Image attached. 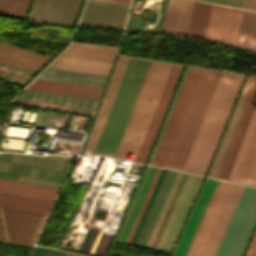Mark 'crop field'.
<instances>
[{"instance_id":"38","label":"crop field","mask_w":256,"mask_h":256,"mask_svg":"<svg viewBox=\"0 0 256 256\" xmlns=\"http://www.w3.org/2000/svg\"><path fill=\"white\" fill-rule=\"evenodd\" d=\"M103 1H109V2L127 4V5H129V3H130V0H103Z\"/></svg>"},{"instance_id":"7","label":"crop field","mask_w":256,"mask_h":256,"mask_svg":"<svg viewBox=\"0 0 256 256\" xmlns=\"http://www.w3.org/2000/svg\"><path fill=\"white\" fill-rule=\"evenodd\" d=\"M243 12L214 4L205 40L235 46Z\"/></svg>"},{"instance_id":"32","label":"crop field","mask_w":256,"mask_h":256,"mask_svg":"<svg viewBox=\"0 0 256 256\" xmlns=\"http://www.w3.org/2000/svg\"><path fill=\"white\" fill-rule=\"evenodd\" d=\"M167 170L163 169L130 244L134 245Z\"/></svg>"},{"instance_id":"23","label":"crop field","mask_w":256,"mask_h":256,"mask_svg":"<svg viewBox=\"0 0 256 256\" xmlns=\"http://www.w3.org/2000/svg\"><path fill=\"white\" fill-rule=\"evenodd\" d=\"M117 49L115 47L72 42L61 55L112 62Z\"/></svg>"},{"instance_id":"13","label":"crop field","mask_w":256,"mask_h":256,"mask_svg":"<svg viewBox=\"0 0 256 256\" xmlns=\"http://www.w3.org/2000/svg\"><path fill=\"white\" fill-rule=\"evenodd\" d=\"M244 185L233 183L200 256H213L231 218Z\"/></svg>"},{"instance_id":"29","label":"crop field","mask_w":256,"mask_h":256,"mask_svg":"<svg viewBox=\"0 0 256 256\" xmlns=\"http://www.w3.org/2000/svg\"><path fill=\"white\" fill-rule=\"evenodd\" d=\"M31 0H0V14L24 18Z\"/></svg>"},{"instance_id":"40","label":"crop field","mask_w":256,"mask_h":256,"mask_svg":"<svg viewBox=\"0 0 256 256\" xmlns=\"http://www.w3.org/2000/svg\"><path fill=\"white\" fill-rule=\"evenodd\" d=\"M0 241H2V239H1V234H0Z\"/></svg>"},{"instance_id":"5","label":"crop field","mask_w":256,"mask_h":256,"mask_svg":"<svg viewBox=\"0 0 256 256\" xmlns=\"http://www.w3.org/2000/svg\"><path fill=\"white\" fill-rule=\"evenodd\" d=\"M256 167V108L252 109L225 179L249 184ZM256 185V170L251 183Z\"/></svg>"},{"instance_id":"36","label":"crop field","mask_w":256,"mask_h":256,"mask_svg":"<svg viewBox=\"0 0 256 256\" xmlns=\"http://www.w3.org/2000/svg\"><path fill=\"white\" fill-rule=\"evenodd\" d=\"M241 8L256 11V0H243Z\"/></svg>"},{"instance_id":"16","label":"crop field","mask_w":256,"mask_h":256,"mask_svg":"<svg viewBox=\"0 0 256 256\" xmlns=\"http://www.w3.org/2000/svg\"><path fill=\"white\" fill-rule=\"evenodd\" d=\"M172 65L173 64H168V63L162 64L158 77L156 79V82L150 94L149 100L147 102V105L145 107V110L143 112V115L141 117V120L139 122L138 128L136 130V133L134 135V138L132 140V143L130 145L128 152L137 154V151L139 149V146L141 144L145 131L148 127V124L150 122V119L152 117V114L154 112V109L156 107V104L162 92V89L165 85V82L167 80V77L169 75ZM135 158H136V155L134 154L131 160L134 161Z\"/></svg>"},{"instance_id":"3","label":"crop field","mask_w":256,"mask_h":256,"mask_svg":"<svg viewBox=\"0 0 256 256\" xmlns=\"http://www.w3.org/2000/svg\"><path fill=\"white\" fill-rule=\"evenodd\" d=\"M150 62L129 59L94 154L114 156Z\"/></svg>"},{"instance_id":"31","label":"crop field","mask_w":256,"mask_h":256,"mask_svg":"<svg viewBox=\"0 0 256 256\" xmlns=\"http://www.w3.org/2000/svg\"><path fill=\"white\" fill-rule=\"evenodd\" d=\"M162 169L158 168L124 243L129 244Z\"/></svg>"},{"instance_id":"19","label":"crop field","mask_w":256,"mask_h":256,"mask_svg":"<svg viewBox=\"0 0 256 256\" xmlns=\"http://www.w3.org/2000/svg\"><path fill=\"white\" fill-rule=\"evenodd\" d=\"M50 57L0 43V62L36 72Z\"/></svg>"},{"instance_id":"1","label":"crop field","mask_w":256,"mask_h":256,"mask_svg":"<svg viewBox=\"0 0 256 256\" xmlns=\"http://www.w3.org/2000/svg\"><path fill=\"white\" fill-rule=\"evenodd\" d=\"M243 76L221 73L182 171L205 174Z\"/></svg>"},{"instance_id":"18","label":"crop field","mask_w":256,"mask_h":256,"mask_svg":"<svg viewBox=\"0 0 256 256\" xmlns=\"http://www.w3.org/2000/svg\"><path fill=\"white\" fill-rule=\"evenodd\" d=\"M193 2L170 0L162 32L185 36Z\"/></svg>"},{"instance_id":"30","label":"crop field","mask_w":256,"mask_h":256,"mask_svg":"<svg viewBox=\"0 0 256 256\" xmlns=\"http://www.w3.org/2000/svg\"><path fill=\"white\" fill-rule=\"evenodd\" d=\"M157 168L152 167L119 242L123 243Z\"/></svg>"},{"instance_id":"17","label":"crop field","mask_w":256,"mask_h":256,"mask_svg":"<svg viewBox=\"0 0 256 256\" xmlns=\"http://www.w3.org/2000/svg\"><path fill=\"white\" fill-rule=\"evenodd\" d=\"M256 77L248 75L208 176L216 177Z\"/></svg>"},{"instance_id":"39","label":"crop field","mask_w":256,"mask_h":256,"mask_svg":"<svg viewBox=\"0 0 256 256\" xmlns=\"http://www.w3.org/2000/svg\"><path fill=\"white\" fill-rule=\"evenodd\" d=\"M65 256H83V255H77V254H72L67 252Z\"/></svg>"},{"instance_id":"4","label":"crop field","mask_w":256,"mask_h":256,"mask_svg":"<svg viewBox=\"0 0 256 256\" xmlns=\"http://www.w3.org/2000/svg\"><path fill=\"white\" fill-rule=\"evenodd\" d=\"M256 225V188L246 186L214 256H242Z\"/></svg>"},{"instance_id":"34","label":"crop field","mask_w":256,"mask_h":256,"mask_svg":"<svg viewBox=\"0 0 256 256\" xmlns=\"http://www.w3.org/2000/svg\"><path fill=\"white\" fill-rule=\"evenodd\" d=\"M182 174H183V173L179 172L178 175H177V177H176V179H175V182H174V184H173V186H172V188H171V191H170V193H169V195H168V197H167V199H166V202H165V204H164V206H163V208H162V211H161V213H160V215H159V217H158V220H157V222H156V224H155V226H154V229H153V231H152V233H151V235H150V237H149V240H148V242H147V244H146V246H145V247H147V248L150 247V245H151V243H152V241H153V238H154V236H155V234H156V232H157V229H158V227H159V225H160V223H161V221H162V218H163V216H164V214H165V212H166V209H167V207H168V205H169V203H170V200H171V198H172V196H173V194H174V191H175V189H176V187H177V185H178V183H179V180H180Z\"/></svg>"},{"instance_id":"28","label":"crop field","mask_w":256,"mask_h":256,"mask_svg":"<svg viewBox=\"0 0 256 256\" xmlns=\"http://www.w3.org/2000/svg\"><path fill=\"white\" fill-rule=\"evenodd\" d=\"M236 47L256 52V12L245 10Z\"/></svg>"},{"instance_id":"33","label":"crop field","mask_w":256,"mask_h":256,"mask_svg":"<svg viewBox=\"0 0 256 256\" xmlns=\"http://www.w3.org/2000/svg\"><path fill=\"white\" fill-rule=\"evenodd\" d=\"M193 175L189 174L156 249L160 250Z\"/></svg>"},{"instance_id":"8","label":"crop field","mask_w":256,"mask_h":256,"mask_svg":"<svg viewBox=\"0 0 256 256\" xmlns=\"http://www.w3.org/2000/svg\"><path fill=\"white\" fill-rule=\"evenodd\" d=\"M83 0H35L28 20L73 26Z\"/></svg>"},{"instance_id":"20","label":"crop field","mask_w":256,"mask_h":256,"mask_svg":"<svg viewBox=\"0 0 256 256\" xmlns=\"http://www.w3.org/2000/svg\"><path fill=\"white\" fill-rule=\"evenodd\" d=\"M198 68L190 67L151 165L158 166Z\"/></svg>"},{"instance_id":"10","label":"crop field","mask_w":256,"mask_h":256,"mask_svg":"<svg viewBox=\"0 0 256 256\" xmlns=\"http://www.w3.org/2000/svg\"><path fill=\"white\" fill-rule=\"evenodd\" d=\"M162 63L152 61L148 69L147 75L139 92L138 98L128 120L127 126L119 143L118 149L114 157L125 158L127 149L145 107L146 101L158 74Z\"/></svg>"},{"instance_id":"27","label":"crop field","mask_w":256,"mask_h":256,"mask_svg":"<svg viewBox=\"0 0 256 256\" xmlns=\"http://www.w3.org/2000/svg\"><path fill=\"white\" fill-rule=\"evenodd\" d=\"M212 6L195 1L186 37L204 40Z\"/></svg>"},{"instance_id":"12","label":"crop field","mask_w":256,"mask_h":256,"mask_svg":"<svg viewBox=\"0 0 256 256\" xmlns=\"http://www.w3.org/2000/svg\"><path fill=\"white\" fill-rule=\"evenodd\" d=\"M232 183L220 181L186 256H199Z\"/></svg>"},{"instance_id":"15","label":"crop field","mask_w":256,"mask_h":256,"mask_svg":"<svg viewBox=\"0 0 256 256\" xmlns=\"http://www.w3.org/2000/svg\"><path fill=\"white\" fill-rule=\"evenodd\" d=\"M207 179H206V181H207ZM206 181H205V183H206ZM218 182H219L218 180H214V179H210L209 178L207 183H206V185L204 183L205 188H204V185H203L204 190L202 188V190H203V192L201 190L202 195H201V192H200L201 197L199 195V197H200V199L198 197L199 201L197 199L198 204H197V201H196L197 206L195 204V206H196V208L194 206L195 210L193 208L194 213H193V210H192L193 215L191 213V215H192V217L190 215L191 220H190V217H189L190 222L188 220V222H189V224L187 222L188 226L186 224L187 229H186V226H185L186 231L184 229V231H185V233L183 231L184 236H183V233L181 235V238H182V236H183V238H182V240L180 238L181 242L179 240L180 245H179V242H178L179 247L177 245V247H178V249L176 247L177 251L175 249L176 254H175V251H174L175 256H185L186 255L187 250H188V248H189V246H190V244L192 242V239H193V237H194V235L196 233V230H197V228H198V226H199V224L201 222V219H202V217H203V215L205 213V210H206V208H207V206H208V204L210 202V199H211V197H212V195L214 193V190H215ZM174 254H173V256H174Z\"/></svg>"},{"instance_id":"37","label":"crop field","mask_w":256,"mask_h":256,"mask_svg":"<svg viewBox=\"0 0 256 256\" xmlns=\"http://www.w3.org/2000/svg\"><path fill=\"white\" fill-rule=\"evenodd\" d=\"M255 244H256V232L254 234V237H253V239H252V241H251V243L249 245V248H248L245 256H250L251 255V253H252V251L254 249Z\"/></svg>"},{"instance_id":"24","label":"crop field","mask_w":256,"mask_h":256,"mask_svg":"<svg viewBox=\"0 0 256 256\" xmlns=\"http://www.w3.org/2000/svg\"><path fill=\"white\" fill-rule=\"evenodd\" d=\"M0 190L52 201L56 188L0 178Z\"/></svg>"},{"instance_id":"6","label":"crop field","mask_w":256,"mask_h":256,"mask_svg":"<svg viewBox=\"0 0 256 256\" xmlns=\"http://www.w3.org/2000/svg\"><path fill=\"white\" fill-rule=\"evenodd\" d=\"M2 210L4 214V219H5L10 243L27 245L41 215L21 212L16 210H10V209H4V208H2ZM2 210L0 208L1 227H2L5 242H9L4 219H3ZM45 217L46 216L44 215L41 216L28 245L33 244Z\"/></svg>"},{"instance_id":"25","label":"crop field","mask_w":256,"mask_h":256,"mask_svg":"<svg viewBox=\"0 0 256 256\" xmlns=\"http://www.w3.org/2000/svg\"><path fill=\"white\" fill-rule=\"evenodd\" d=\"M52 202L0 192V207L46 215Z\"/></svg>"},{"instance_id":"11","label":"crop field","mask_w":256,"mask_h":256,"mask_svg":"<svg viewBox=\"0 0 256 256\" xmlns=\"http://www.w3.org/2000/svg\"><path fill=\"white\" fill-rule=\"evenodd\" d=\"M129 58L120 56L81 155H92Z\"/></svg>"},{"instance_id":"41","label":"crop field","mask_w":256,"mask_h":256,"mask_svg":"<svg viewBox=\"0 0 256 256\" xmlns=\"http://www.w3.org/2000/svg\"><path fill=\"white\" fill-rule=\"evenodd\" d=\"M254 256H256V253H255V255Z\"/></svg>"},{"instance_id":"14","label":"crop field","mask_w":256,"mask_h":256,"mask_svg":"<svg viewBox=\"0 0 256 256\" xmlns=\"http://www.w3.org/2000/svg\"><path fill=\"white\" fill-rule=\"evenodd\" d=\"M183 66L174 64L135 161L144 163Z\"/></svg>"},{"instance_id":"35","label":"crop field","mask_w":256,"mask_h":256,"mask_svg":"<svg viewBox=\"0 0 256 256\" xmlns=\"http://www.w3.org/2000/svg\"><path fill=\"white\" fill-rule=\"evenodd\" d=\"M200 1H206V2L222 4V5L238 7V8H240L242 4V0H200Z\"/></svg>"},{"instance_id":"26","label":"crop field","mask_w":256,"mask_h":256,"mask_svg":"<svg viewBox=\"0 0 256 256\" xmlns=\"http://www.w3.org/2000/svg\"><path fill=\"white\" fill-rule=\"evenodd\" d=\"M256 99V80L255 83L253 85V88L251 90V93L249 95V98L247 100V103L245 105V108L243 110V113L241 115V118L239 120V123L237 125V128L234 132V135L232 137V140L230 142V145L228 147V150L226 152V155L224 157V160L222 162V165L220 167V170L218 172V175L216 178H220V179H224L227 173V170L229 168L230 162L232 160V157L234 155L235 149L237 147L238 141L240 139L241 133L243 131V128L245 126L246 120L248 118L249 112L251 110V108L253 107V104L255 102Z\"/></svg>"},{"instance_id":"2","label":"crop field","mask_w":256,"mask_h":256,"mask_svg":"<svg viewBox=\"0 0 256 256\" xmlns=\"http://www.w3.org/2000/svg\"><path fill=\"white\" fill-rule=\"evenodd\" d=\"M220 73L198 69L159 166L182 170Z\"/></svg>"},{"instance_id":"21","label":"crop field","mask_w":256,"mask_h":256,"mask_svg":"<svg viewBox=\"0 0 256 256\" xmlns=\"http://www.w3.org/2000/svg\"><path fill=\"white\" fill-rule=\"evenodd\" d=\"M111 64L109 62L59 56L48 68L107 76Z\"/></svg>"},{"instance_id":"22","label":"crop field","mask_w":256,"mask_h":256,"mask_svg":"<svg viewBox=\"0 0 256 256\" xmlns=\"http://www.w3.org/2000/svg\"><path fill=\"white\" fill-rule=\"evenodd\" d=\"M204 177L194 175L161 250L170 251ZM172 251V250H171Z\"/></svg>"},{"instance_id":"9","label":"crop field","mask_w":256,"mask_h":256,"mask_svg":"<svg viewBox=\"0 0 256 256\" xmlns=\"http://www.w3.org/2000/svg\"><path fill=\"white\" fill-rule=\"evenodd\" d=\"M129 6L88 0L78 25L124 29Z\"/></svg>"}]
</instances>
